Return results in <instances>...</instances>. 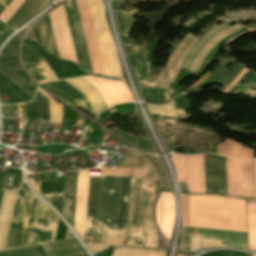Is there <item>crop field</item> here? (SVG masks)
<instances>
[{
    "instance_id": "19",
    "label": "crop field",
    "mask_w": 256,
    "mask_h": 256,
    "mask_svg": "<svg viewBox=\"0 0 256 256\" xmlns=\"http://www.w3.org/2000/svg\"><path fill=\"white\" fill-rule=\"evenodd\" d=\"M26 38L39 43L47 52L58 57L47 15L34 24L28 31Z\"/></svg>"
},
{
    "instance_id": "58",
    "label": "crop field",
    "mask_w": 256,
    "mask_h": 256,
    "mask_svg": "<svg viewBox=\"0 0 256 256\" xmlns=\"http://www.w3.org/2000/svg\"><path fill=\"white\" fill-rule=\"evenodd\" d=\"M245 86H240L232 95H237Z\"/></svg>"
},
{
    "instance_id": "60",
    "label": "crop field",
    "mask_w": 256,
    "mask_h": 256,
    "mask_svg": "<svg viewBox=\"0 0 256 256\" xmlns=\"http://www.w3.org/2000/svg\"><path fill=\"white\" fill-rule=\"evenodd\" d=\"M232 87H234V86H228L222 93L226 94Z\"/></svg>"
},
{
    "instance_id": "14",
    "label": "crop field",
    "mask_w": 256,
    "mask_h": 256,
    "mask_svg": "<svg viewBox=\"0 0 256 256\" xmlns=\"http://www.w3.org/2000/svg\"><path fill=\"white\" fill-rule=\"evenodd\" d=\"M201 238L221 240L220 246L247 249L246 233L201 229ZM220 241L202 239V249L219 246Z\"/></svg>"
},
{
    "instance_id": "5",
    "label": "crop field",
    "mask_w": 256,
    "mask_h": 256,
    "mask_svg": "<svg viewBox=\"0 0 256 256\" xmlns=\"http://www.w3.org/2000/svg\"><path fill=\"white\" fill-rule=\"evenodd\" d=\"M64 6H65L67 18H68V23L71 31V36H72V40L75 48L77 61L81 65L82 69L92 73L74 0H69L65 2ZM64 6L62 4L57 8V10H58L69 58L71 61L77 62L74 49H73V44L70 36L67 19H66Z\"/></svg>"
},
{
    "instance_id": "16",
    "label": "crop field",
    "mask_w": 256,
    "mask_h": 256,
    "mask_svg": "<svg viewBox=\"0 0 256 256\" xmlns=\"http://www.w3.org/2000/svg\"><path fill=\"white\" fill-rule=\"evenodd\" d=\"M43 60L44 59L35 52L34 47L32 45L23 43L22 61L26 70L29 72V74L36 81L44 79V76H45L46 79L38 81L39 84L45 81L57 80V77L48 67L46 61H43ZM38 61H43V62H38ZM35 62H38L37 65L39 66L44 76L42 75L41 71L39 70Z\"/></svg>"
},
{
    "instance_id": "54",
    "label": "crop field",
    "mask_w": 256,
    "mask_h": 256,
    "mask_svg": "<svg viewBox=\"0 0 256 256\" xmlns=\"http://www.w3.org/2000/svg\"><path fill=\"white\" fill-rule=\"evenodd\" d=\"M248 69H243L238 75L237 77L235 78V80L231 83V84H236L240 79L241 77L245 74V72L247 71Z\"/></svg>"
},
{
    "instance_id": "37",
    "label": "crop field",
    "mask_w": 256,
    "mask_h": 256,
    "mask_svg": "<svg viewBox=\"0 0 256 256\" xmlns=\"http://www.w3.org/2000/svg\"><path fill=\"white\" fill-rule=\"evenodd\" d=\"M147 107L152 115H159L163 117H174L175 113H185L184 110H174V101L163 106H153L147 104Z\"/></svg>"
},
{
    "instance_id": "25",
    "label": "crop field",
    "mask_w": 256,
    "mask_h": 256,
    "mask_svg": "<svg viewBox=\"0 0 256 256\" xmlns=\"http://www.w3.org/2000/svg\"><path fill=\"white\" fill-rule=\"evenodd\" d=\"M129 41L133 47L134 54L128 55L127 57L139 82L149 86L156 85V81L145 75L146 64L143 58L141 57V50L145 49V47L138 45L130 39Z\"/></svg>"
},
{
    "instance_id": "34",
    "label": "crop field",
    "mask_w": 256,
    "mask_h": 256,
    "mask_svg": "<svg viewBox=\"0 0 256 256\" xmlns=\"http://www.w3.org/2000/svg\"><path fill=\"white\" fill-rule=\"evenodd\" d=\"M64 181L38 182L40 195H63Z\"/></svg>"
},
{
    "instance_id": "13",
    "label": "crop field",
    "mask_w": 256,
    "mask_h": 256,
    "mask_svg": "<svg viewBox=\"0 0 256 256\" xmlns=\"http://www.w3.org/2000/svg\"><path fill=\"white\" fill-rule=\"evenodd\" d=\"M204 164L206 193L226 195L224 157L206 154Z\"/></svg>"
},
{
    "instance_id": "3",
    "label": "crop field",
    "mask_w": 256,
    "mask_h": 256,
    "mask_svg": "<svg viewBox=\"0 0 256 256\" xmlns=\"http://www.w3.org/2000/svg\"><path fill=\"white\" fill-rule=\"evenodd\" d=\"M183 226L214 228L213 196L182 194ZM215 229L246 232L245 200L214 196Z\"/></svg>"
},
{
    "instance_id": "35",
    "label": "crop field",
    "mask_w": 256,
    "mask_h": 256,
    "mask_svg": "<svg viewBox=\"0 0 256 256\" xmlns=\"http://www.w3.org/2000/svg\"><path fill=\"white\" fill-rule=\"evenodd\" d=\"M0 256H46L40 245L0 252Z\"/></svg>"
},
{
    "instance_id": "30",
    "label": "crop field",
    "mask_w": 256,
    "mask_h": 256,
    "mask_svg": "<svg viewBox=\"0 0 256 256\" xmlns=\"http://www.w3.org/2000/svg\"><path fill=\"white\" fill-rule=\"evenodd\" d=\"M49 16H50V20H51V25H52V29H53V33H54V38H55V42H56L58 55L61 58L68 59V55H67V51H66L60 23H59L57 11L56 10L52 11L51 13H49Z\"/></svg>"
},
{
    "instance_id": "57",
    "label": "crop field",
    "mask_w": 256,
    "mask_h": 256,
    "mask_svg": "<svg viewBox=\"0 0 256 256\" xmlns=\"http://www.w3.org/2000/svg\"><path fill=\"white\" fill-rule=\"evenodd\" d=\"M255 74L256 73L252 72V74L247 78V80L243 84H247Z\"/></svg>"
},
{
    "instance_id": "7",
    "label": "crop field",
    "mask_w": 256,
    "mask_h": 256,
    "mask_svg": "<svg viewBox=\"0 0 256 256\" xmlns=\"http://www.w3.org/2000/svg\"><path fill=\"white\" fill-rule=\"evenodd\" d=\"M228 195L254 198L252 160L226 157Z\"/></svg>"
},
{
    "instance_id": "18",
    "label": "crop field",
    "mask_w": 256,
    "mask_h": 256,
    "mask_svg": "<svg viewBox=\"0 0 256 256\" xmlns=\"http://www.w3.org/2000/svg\"><path fill=\"white\" fill-rule=\"evenodd\" d=\"M41 86L47 89L52 94L58 96L65 102L88 112L94 117L83 96L63 80L53 81L47 84H42Z\"/></svg>"
},
{
    "instance_id": "9",
    "label": "crop field",
    "mask_w": 256,
    "mask_h": 256,
    "mask_svg": "<svg viewBox=\"0 0 256 256\" xmlns=\"http://www.w3.org/2000/svg\"><path fill=\"white\" fill-rule=\"evenodd\" d=\"M29 191V190H28ZM21 187L19 190L5 249L19 248L22 245L34 195Z\"/></svg>"
},
{
    "instance_id": "56",
    "label": "crop field",
    "mask_w": 256,
    "mask_h": 256,
    "mask_svg": "<svg viewBox=\"0 0 256 256\" xmlns=\"http://www.w3.org/2000/svg\"><path fill=\"white\" fill-rule=\"evenodd\" d=\"M28 183H29V185L31 186V188L36 191L37 186H36L34 180H30V181H28Z\"/></svg>"
},
{
    "instance_id": "31",
    "label": "crop field",
    "mask_w": 256,
    "mask_h": 256,
    "mask_svg": "<svg viewBox=\"0 0 256 256\" xmlns=\"http://www.w3.org/2000/svg\"><path fill=\"white\" fill-rule=\"evenodd\" d=\"M181 248L188 251L201 249L199 228L183 227V241Z\"/></svg>"
},
{
    "instance_id": "21",
    "label": "crop field",
    "mask_w": 256,
    "mask_h": 256,
    "mask_svg": "<svg viewBox=\"0 0 256 256\" xmlns=\"http://www.w3.org/2000/svg\"><path fill=\"white\" fill-rule=\"evenodd\" d=\"M68 83L82 92L89 102L95 116L102 110L106 109V105L101 98L98 90L94 88L91 84H89L85 79L82 77L66 79Z\"/></svg>"
},
{
    "instance_id": "39",
    "label": "crop field",
    "mask_w": 256,
    "mask_h": 256,
    "mask_svg": "<svg viewBox=\"0 0 256 256\" xmlns=\"http://www.w3.org/2000/svg\"><path fill=\"white\" fill-rule=\"evenodd\" d=\"M34 100L37 101L39 121L49 122L47 99L37 91Z\"/></svg>"
},
{
    "instance_id": "1",
    "label": "crop field",
    "mask_w": 256,
    "mask_h": 256,
    "mask_svg": "<svg viewBox=\"0 0 256 256\" xmlns=\"http://www.w3.org/2000/svg\"><path fill=\"white\" fill-rule=\"evenodd\" d=\"M130 177H90L85 242H104L105 230L125 231ZM123 232L106 231L105 243H86L92 252L124 244Z\"/></svg>"
},
{
    "instance_id": "24",
    "label": "crop field",
    "mask_w": 256,
    "mask_h": 256,
    "mask_svg": "<svg viewBox=\"0 0 256 256\" xmlns=\"http://www.w3.org/2000/svg\"><path fill=\"white\" fill-rule=\"evenodd\" d=\"M196 41L197 39L191 37L189 34L181 40L167 64L169 79L173 80L178 73L184 57Z\"/></svg>"
},
{
    "instance_id": "32",
    "label": "crop field",
    "mask_w": 256,
    "mask_h": 256,
    "mask_svg": "<svg viewBox=\"0 0 256 256\" xmlns=\"http://www.w3.org/2000/svg\"><path fill=\"white\" fill-rule=\"evenodd\" d=\"M114 12L118 21L119 32L128 36L130 30L136 22V20H133V18L138 10H133L129 12L114 10Z\"/></svg>"
},
{
    "instance_id": "44",
    "label": "crop field",
    "mask_w": 256,
    "mask_h": 256,
    "mask_svg": "<svg viewBox=\"0 0 256 256\" xmlns=\"http://www.w3.org/2000/svg\"><path fill=\"white\" fill-rule=\"evenodd\" d=\"M157 164L159 170H160V174H161V178H162V189H171L170 183L167 179V176L162 168V165L160 163V160H158L156 157L149 155Z\"/></svg>"
},
{
    "instance_id": "41",
    "label": "crop field",
    "mask_w": 256,
    "mask_h": 256,
    "mask_svg": "<svg viewBox=\"0 0 256 256\" xmlns=\"http://www.w3.org/2000/svg\"><path fill=\"white\" fill-rule=\"evenodd\" d=\"M23 2L24 0H13L6 10L1 14L0 20L6 23Z\"/></svg>"
},
{
    "instance_id": "20",
    "label": "crop field",
    "mask_w": 256,
    "mask_h": 256,
    "mask_svg": "<svg viewBox=\"0 0 256 256\" xmlns=\"http://www.w3.org/2000/svg\"><path fill=\"white\" fill-rule=\"evenodd\" d=\"M53 0H25L20 8L6 23L14 29H17L29 19L34 17L45 7H47Z\"/></svg>"
},
{
    "instance_id": "38",
    "label": "crop field",
    "mask_w": 256,
    "mask_h": 256,
    "mask_svg": "<svg viewBox=\"0 0 256 256\" xmlns=\"http://www.w3.org/2000/svg\"><path fill=\"white\" fill-rule=\"evenodd\" d=\"M43 246H44L45 250L47 251V253L81 247L76 239L43 244Z\"/></svg>"
},
{
    "instance_id": "27",
    "label": "crop field",
    "mask_w": 256,
    "mask_h": 256,
    "mask_svg": "<svg viewBox=\"0 0 256 256\" xmlns=\"http://www.w3.org/2000/svg\"><path fill=\"white\" fill-rule=\"evenodd\" d=\"M226 148V150H225ZM217 152L220 155L241 158V159H253L254 150L242 147L238 142L228 140L226 146L225 142L218 144Z\"/></svg>"
},
{
    "instance_id": "47",
    "label": "crop field",
    "mask_w": 256,
    "mask_h": 256,
    "mask_svg": "<svg viewBox=\"0 0 256 256\" xmlns=\"http://www.w3.org/2000/svg\"><path fill=\"white\" fill-rule=\"evenodd\" d=\"M12 32H14V30H12L11 28H9L7 25L0 21V45L5 40V38Z\"/></svg>"
},
{
    "instance_id": "40",
    "label": "crop field",
    "mask_w": 256,
    "mask_h": 256,
    "mask_svg": "<svg viewBox=\"0 0 256 256\" xmlns=\"http://www.w3.org/2000/svg\"><path fill=\"white\" fill-rule=\"evenodd\" d=\"M0 82L4 84L8 89H10L14 94H16L24 102H28L32 98L29 97L25 92H23L19 87H17L10 79L5 75L0 73Z\"/></svg>"
},
{
    "instance_id": "6",
    "label": "crop field",
    "mask_w": 256,
    "mask_h": 256,
    "mask_svg": "<svg viewBox=\"0 0 256 256\" xmlns=\"http://www.w3.org/2000/svg\"><path fill=\"white\" fill-rule=\"evenodd\" d=\"M91 12L97 32L102 58L109 77L122 78L116 47L112 41L105 18L103 0H89Z\"/></svg>"
},
{
    "instance_id": "10",
    "label": "crop field",
    "mask_w": 256,
    "mask_h": 256,
    "mask_svg": "<svg viewBox=\"0 0 256 256\" xmlns=\"http://www.w3.org/2000/svg\"><path fill=\"white\" fill-rule=\"evenodd\" d=\"M21 34L18 33L11 39L2 52L0 53V72L4 73L9 77L16 85H18L22 90L29 94L32 98L34 96V90L37 85L31 81H26L18 72L22 71L18 55L17 48L19 44Z\"/></svg>"
},
{
    "instance_id": "42",
    "label": "crop field",
    "mask_w": 256,
    "mask_h": 256,
    "mask_svg": "<svg viewBox=\"0 0 256 256\" xmlns=\"http://www.w3.org/2000/svg\"><path fill=\"white\" fill-rule=\"evenodd\" d=\"M26 119L38 121L36 101L25 104Z\"/></svg>"
},
{
    "instance_id": "33",
    "label": "crop field",
    "mask_w": 256,
    "mask_h": 256,
    "mask_svg": "<svg viewBox=\"0 0 256 256\" xmlns=\"http://www.w3.org/2000/svg\"><path fill=\"white\" fill-rule=\"evenodd\" d=\"M166 251L116 248L112 256H165Z\"/></svg>"
},
{
    "instance_id": "46",
    "label": "crop field",
    "mask_w": 256,
    "mask_h": 256,
    "mask_svg": "<svg viewBox=\"0 0 256 256\" xmlns=\"http://www.w3.org/2000/svg\"><path fill=\"white\" fill-rule=\"evenodd\" d=\"M239 66V64H235L231 70L229 71V73L227 74L228 70H224V72L222 73V75L217 79V81L215 83L218 84H225V82L228 80V78L232 75V73L237 69V67Z\"/></svg>"
},
{
    "instance_id": "36",
    "label": "crop field",
    "mask_w": 256,
    "mask_h": 256,
    "mask_svg": "<svg viewBox=\"0 0 256 256\" xmlns=\"http://www.w3.org/2000/svg\"><path fill=\"white\" fill-rule=\"evenodd\" d=\"M48 99L50 122L62 123V104L56 103L53 98L41 89H37Z\"/></svg>"
},
{
    "instance_id": "28",
    "label": "crop field",
    "mask_w": 256,
    "mask_h": 256,
    "mask_svg": "<svg viewBox=\"0 0 256 256\" xmlns=\"http://www.w3.org/2000/svg\"><path fill=\"white\" fill-rule=\"evenodd\" d=\"M141 94L144 102L152 104H166L172 100L171 95L169 94L166 88L155 87L150 88L145 85H141Z\"/></svg>"
},
{
    "instance_id": "51",
    "label": "crop field",
    "mask_w": 256,
    "mask_h": 256,
    "mask_svg": "<svg viewBox=\"0 0 256 256\" xmlns=\"http://www.w3.org/2000/svg\"><path fill=\"white\" fill-rule=\"evenodd\" d=\"M156 79L159 80L160 82L168 85V86H169V84L171 82V81L168 80L165 70H163Z\"/></svg>"
},
{
    "instance_id": "53",
    "label": "crop field",
    "mask_w": 256,
    "mask_h": 256,
    "mask_svg": "<svg viewBox=\"0 0 256 256\" xmlns=\"http://www.w3.org/2000/svg\"><path fill=\"white\" fill-rule=\"evenodd\" d=\"M254 30H256V28H254V29H252V30H250V31H248V32H246V33H242V34H239V35H236V36H234L233 38H231L225 45H229L230 43H232L234 40H236V39H238L239 37H241V36H243V35H245V34H247V33H249V32H252V31H254Z\"/></svg>"
},
{
    "instance_id": "12",
    "label": "crop field",
    "mask_w": 256,
    "mask_h": 256,
    "mask_svg": "<svg viewBox=\"0 0 256 256\" xmlns=\"http://www.w3.org/2000/svg\"><path fill=\"white\" fill-rule=\"evenodd\" d=\"M83 78L99 90L107 107L119 103L133 102V98L123 82L92 76H85Z\"/></svg>"
},
{
    "instance_id": "49",
    "label": "crop field",
    "mask_w": 256,
    "mask_h": 256,
    "mask_svg": "<svg viewBox=\"0 0 256 256\" xmlns=\"http://www.w3.org/2000/svg\"><path fill=\"white\" fill-rule=\"evenodd\" d=\"M127 154H123V166H117L116 168L131 167L132 150L126 149Z\"/></svg>"
},
{
    "instance_id": "52",
    "label": "crop field",
    "mask_w": 256,
    "mask_h": 256,
    "mask_svg": "<svg viewBox=\"0 0 256 256\" xmlns=\"http://www.w3.org/2000/svg\"><path fill=\"white\" fill-rule=\"evenodd\" d=\"M12 0H1L0 1V14L5 10V8L10 4Z\"/></svg>"
},
{
    "instance_id": "22",
    "label": "crop field",
    "mask_w": 256,
    "mask_h": 256,
    "mask_svg": "<svg viewBox=\"0 0 256 256\" xmlns=\"http://www.w3.org/2000/svg\"><path fill=\"white\" fill-rule=\"evenodd\" d=\"M18 191H5L0 208V250H3Z\"/></svg>"
},
{
    "instance_id": "45",
    "label": "crop field",
    "mask_w": 256,
    "mask_h": 256,
    "mask_svg": "<svg viewBox=\"0 0 256 256\" xmlns=\"http://www.w3.org/2000/svg\"><path fill=\"white\" fill-rule=\"evenodd\" d=\"M49 201L61 214L63 196H42Z\"/></svg>"
},
{
    "instance_id": "61",
    "label": "crop field",
    "mask_w": 256,
    "mask_h": 256,
    "mask_svg": "<svg viewBox=\"0 0 256 256\" xmlns=\"http://www.w3.org/2000/svg\"><path fill=\"white\" fill-rule=\"evenodd\" d=\"M3 192L4 191H0V204H1L2 196H3Z\"/></svg>"
},
{
    "instance_id": "8",
    "label": "crop field",
    "mask_w": 256,
    "mask_h": 256,
    "mask_svg": "<svg viewBox=\"0 0 256 256\" xmlns=\"http://www.w3.org/2000/svg\"><path fill=\"white\" fill-rule=\"evenodd\" d=\"M178 183L185 182L189 193H205L203 155H173Z\"/></svg>"
},
{
    "instance_id": "59",
    "label": "crop field",
    "mask_w": 256,
    "mask_h": 256,
    "mask_svg": "<svg viewBox=\"0 0 256 256\" xmlns=\"http://www.w3.org/2000/svg\"><path fill=\"white\" fill-rule=\"evenodd\" d=\"M254 169H255V189H256V159L254 160Z\"/></svg>"
},
{
    "instance_id": "11",
    "label": "crop field",
    "mask_w": 256,
    "mask_h": 256,
    "mask_svg": "<svg viewBox=\"0 0 256 256\" xmlns=\"http://www.w3.org/2000/svg\"><path fill=\"white\" fill-rule=\"evenodd\" d=\"M75 1H76L83 33L85 36L93 72L96 74L106 76L88 0H75Z\"/></svg>"
},
{
    "instance_id": "43",
    "label": "crop field",
    "mask_w": 256,
    "mask_h": 256,
    "mask_svg": "<svg viewBox=\"0 0 256 256\" xmlns=\"http://www.w3.org/2000/svg\"><path fill=\"white\" fill-rule=\"evenodd\" d=\"M131 169H110L103 166L102 175L130 176Z\"/></svg>"
},
{
    "instance_id": "62",
    "label": "crop field",
    "mask_w": 256,
    "mask_h": 256,
    "mask_svg": "<svg viewBox=\"0 0 256 256\" xmlns=\"http://www.w3.org/2000/svg\"><path fill=\"white\" fill-rule=\"evenodd\" d=\"M223 256H232V255H227V254H224Z\"/></svg>"
},
{
    "instance_id": "63",
    "label": "crop field",
    "mask_w": 256,
    "mask_h": 256,
    "mask_svg": "<svg viewBox=\"0 0 256 256\" xmlns=\"http://www.w3.org/2000/svg\"><path fill=\"white\" fill-rule=\"evenodd\" d=\"M252 256H256V254H253Z\"/></svg>"
},
{
    "instance_id": "29",
    "label": "crop field",
    "mask_w": 256,
    "mask_h": 256,
    "mask_svg": "<svg viewBox=\"0 0 256 256\" xmlns=\"http://www.w3.org/2000/svg\"><path fill=\"white\" fill-rule=\"evenodd\" d=\"M244 27L240 25H236L220 34L215 36L207 45L206 47L201 51V53L196 57L194 60L192 67L190 71L199 69L201 63L204 61V59L208 56V54L213 50V48L225 37L243 29Z\"/></svg>"
},
{
    "instance_id": "4",
    "label": "crop field",
    "mask_w": 256,
    "mask_h": 256,
    "mask_svg": "<svg viewBox=\"0 0 256 256\" xmlns=\"http://www.w3.org/2000/svg\"><path fill=\"white\" fill-rule=\"evenodd\" d=\"M58 221L54 211L35 196L22 247L54 241Z\"/></svg>"
},
{
    "instance_id": "48",
    "label": "crop field",
    "mask_w": 256,
    "mask_h": 256,
    "mask_svg": "<svg viewBox=\"0 0 256 256\" xmlns=\"http://www.w3.org/2000/svg\"><path fill=\"white\" fill-rule=\"evenodd\" d=\"M0 92L3 93L6 97H8L14 103H20L21 101L17 96H15L11 91H9L5 86L0 83Z\"/></svg>"
},
{
    "instance_id": "2",
    "label": "crop field",
    "mask_w": 256,
    "mask_h": 256,
    "mask_svg": "<svg viewBox=\"0 0 256 256\" xmlns=\"http://www.w3.org/2000/svg\"><path fill=\"white\" fill-rule=\"evenodd\" d=\"M156 170L150 160L133 151L126 244L155 247L152 219Z\"/></svg>"
},
{
    "instance_id": "55",
    "label": "crop field",
    "mask_w": 256,
    "mask_h": 256,
    "mask_svg": "<svg viewBox=\"0 0 256 256\" xmlns=\"http://www.w3.org/2000/svg\"><path fill=\"white\" fill-rule=\"evenodd\" d=\"M209 74H210V73L207 72L203 78H201V79H200L198 82H196L194 85L190 86L188 89H192V88H194L196 85L202 83V82L209 76Z\"/></svg>"
},
{
    "instance_id": "23",
    "label": "crop field",
    "mask_w": 256,
    "mask_h": 256,
    "mask_svg": "<svg viewBox=\"0 0 256 256\" xmlns=\"http://www.w3.org/2000/svg\"><path fill=\"white\" fill-rule=\"evenodd\" d=\"M78 172H68L64 199L63 217L73 227Z\"/></svg>"
},
{
    "instance_id": "50",
    "label": "crop field",
    "mask_w": 256,
    "mask_h": 256,
    "mask_svg": "<svg viewBox=\"0 0 256 256\" xmlns=\"http://www.w3.org/2000/svg\"><path fill=\"white\" fill-rule=\"evenodd\" d=\"M2 115L5 117L14 118L13 105L2 106Z\"/></svg>"
},
{
    "instance_id": "64",
    "label": "crop field",
    "mask_w": 256,
    "mask_h": 256,
    "mask_svg": "<svg viewBox=\"0 0 256 256\" xmlns=\"http://www.w3.org/2000/svg\"><path fill=\"white\" fill-rule=\"evenodd\" d=\"M58 1V0H57ZM60 1V0H59Z\"/></svg>"
},
{
    "instance_id": "26",
    "label": "crop field",
    "mask_w": 256,
    "mask_h": 256,
    "mask_svg": "<svg viewBox=\"0 0 256 256\" xmlns=\"http://www.w3.org/2000/svg\"><path fill=\"white\" fill-rule=\"evenodd\" d=\"M230 28L229 26L225 24H221L210 31H208L204 36H202L197 43L194 45V47L190 50V52L185 57L182 67L184 69L189 70L191 67V64L195 57L200 53V51L205 47V45L218 33Z\"/></svg>"
},
{
    "instance_id": "17",
    "label": "crop field",
    "mask_w": 256,
    "mask_h": 256,
    "mask_svg": "<svg viewBox=\"0 0 256 256\" xmlns=\"http://www.w3.org/2000/svg\"><path fill=\"white\" fill-rule=\"evenodd\" d=\"M89 170L79 171L74 230L84 241Z\"/></svg>"
},
{
    "instance_id": "15",
    "label": "crop field",
    "mask_w": 256,
    "mask_h": 256,
    "mask_svg": "<svg viewBox=\"0 0 256 256\" xmlns=\"http://www.w3.org/2000/svg\"><path fill=\"white\" fill-rule=\"evenodd\" d=\"M156 220L163 236L169 240L175 220V203L173 193H160L156 204Z\"/></svg>"
}]
</instances>
